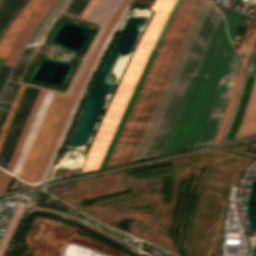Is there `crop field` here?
<instances>
[{"mask_svg":"<svg viewBox=\"0 0 256 256\" xmlns=\"http://www.w3.org/2000/svg\"><path fill=\"white\" fill-rule=\"evenodd\" d=\"M240 61L227 38L223 17L219 13L159 155L212 143Z\"/></svg>","mask_w":256,"mask_h":256,"instance_id":"1","label":"crop field"},{"mask_svg":"<svg viewBox=\"0 0 256 256\" xmlns=\"http://www.w3.org/2000/svg\"><path fill=\"white\" fill-rule=\"evenodd\" d=\"M175 1L176 0L155 1L152 7L155 12L153 13L135 49L133 54L134 57L148 58L153 43ZM134 57L131 58V61L121 79L120 85L106 111L81 172L100 167L115 129L118 126L123 111L131 97L135 84L146 62L145 59Z\"/></svg>","mask_w":256,"mask_h":256,"instance_id":"2","label":"crop field"},{"mask_svg":"<svg viewBox=\"0 0 256 256\" xmlns=\"http://www.w3.org/2000/svg\"><path fill=\"white\" fill-rule=\"evenodd\" d=\"M203 0H193L184 19L182 20L177 33L169 47V50L166 54L163 66L159 72V75L157 77L155 86L144 106V109L139 117L137 126L128 142V145L124 151L121 163L123 162H129L132 160L134 151L141 139V136L147 126V123L154 111V108L158 102V99L160 97V94L163 90V87L165 85V82L169 76L170 70L173 66L176 54L179 50V47L181 45V42L192 22V19L196 13V11L199 9L201 3Z\"/></svg>","mask_w":256,"mask_h":256,"instance_id":"3","label":"crop field"},{"mask_svg":"<svg viewBox=\"0 0 256 256\" xmlns=\"http://www.w3.org/2000/svg\"><path fill=\"white\" fill-rule=\"evenodd\" d=\"M211 6L212 5H210L208 2L204 0L200 9L197 11L193 19L192 25L188 31V34L179 50L178 56L176 58V61L174 63L170 76L168 78L167 84L162 92V95L157 104V107L138 145L137 151L132 161L140 160L145 157L147 149L155 135L157 127L163 117V114L167 108V105L171 99V96L176 88V85L178 83V78L181 74V71L184 66L190 47L199 31L200 25L202 24Z\"/></svg>","mask_w":256,"mask_h":256,"instance_id":"4","label":"crop field"},{"mask_svg":"<svg viewBox=\"0 0 256 256\" xmlns=\"http://www.w3.org/2000/svg\"><path fill=\"white\" fill-rule=\"evenodd\" d=\"M192 0H182L172 21L171 24L158 48V51L156 53L155 59L153 61V64L150 68V71L147 75V78L143 84V87L139 93V96L133 106V109L130 113V116L125 124V127L121 133V136L116 144V147L114 149V152L112 154V157L109 161V166L117 165L120 162V159L122 157L123 151L127 145V142L131 136V133L137 123L138 117L143 109V106L147 100V97L150 93V91L153 88V85L155 83L156 76L162 66L165 54L168 50V47L171 43V40L188 8Z\"/></svg>","mask_w":256,"mask_h":256,"instance_id":"5","label":"crop field"},{"mask_svg":"<svg viewBox=\"0 0 256 256\" xmlns=\"http://www.w3.org/2000/svg\"><path fill=\"white\" fill-rule=\"evenodd\" d=\"M219 11L212 6L209 13L207 14L200 31L191 47L190 53L188 55L187 61L185 63L182 74L179 78V83L173 94L172 100L166 110V113L158 127L154 140L147 152L146 157H153L158 155L159 150L168 134V131L173 123V120L177 114L183 95L187 89L189 80L191 78L197 57L200 53L203 42L218 15ZM145 157V158H146Z\"/></svg>","mask_w":256,"mask_h":256,"instance_id":"6","label":"crop field"},{"mask_svg":"<svg viewBox=\"0 0 256 256\" xmlns=\"http://www.w3.org/2000/svg\"><path fill=\"white\" fill-rule=\"evenodd\" d=\"M70 97L54 93L17 178L32 183Z\"/></svg>","mask_w":256,"mask_h":256,"instance_id":"7","label":"crop field"},{"mask_svg":"<svg viewBox=\"0 0 256 256\" xmlns=\"http://www.w3.org/2000/svg\"><path fill=\"white\" fill-rule=\"evenodd\" d=\"M39 90L38 88L27 86L17 106L0 150V167L4 169L8 166L16 141Z\"/></svg>","mask_w":256,"mask_h":256,"instance_id":"8","label":"crop field"},{"mask_svg":"<svg viewBox=\"0 0 256 256\" xmlns=\"http://www.w3.org/2000/svg\"><path fill=\"white\" fill-rule=\"evenodd\" d=\"M127 1L128 0H123L121 5L119 6L118 10L114 14L110 24L108 25V27L106 28V30L102 34V36H101V38H100V40H99L95 50L93 51V53H92V55H91L87 65H86V67H85V69H84V71H83V73H82V75H81V77H80V79H79V81H78V83H77V85H76L72 95H71V98H70V100H69V102H68V104H67V106H66V108H65V110H64V112L62 114V117H61L60 122L58 124V127L56 129V132H55V134L53 136V139L51 141V144H50V146H49V148L47 150V153H46V155H45V157L43 159V162H42V164H41V166H40V168H39V170H38V172H37V174H36L32 184L38 183V181H39V179H40V177H41V175H42V173H43V171H44V169H45V167H46V165L48 163V160H49V158H50V156L52 154V151H53V149H54V147L56 145V142L58 140V137L60 135L62 127H63V125H64V123H65V121H66V119L68 117V114H69V112H70V110L72 108V105H73V103H74V101L76 99L78 91H79V89H80V87L82 85V82H83V80H84L88 70L90 69V67H91V65H92V63H93V61H94V59H95V57H96L100 47L102 46V44H103V42H104L108 32L110 31L112 25L114 24L115 20L117 19L118 15L120 14L121 10L123 9V7L127 3Z\"/></svg>","mask_w":256,"mask_h":256,"instance_id":"9","label":"crop field"},{"mask_svg":"<svg viewBox=\"0 0 256 256\" xmlns=\"http://www.w3.org/2000/svg\"><path fill=\"white\" fill-rule=\"evenodd\" d=\"M132 2H133V0H129L128 4L124 8V10L121 13L120 17L118 18V20L113 25V27H112L111 31L109 32V34H108V36H107V38H106V40H105V42H104L100 52H99V54L97 55L93 65H92V67H91V69H90V71H89V73H88V75H87V77H86L82 87H81V90H80V92H79V94L77 96V99H76V101L74 103V106H73V108L71 110V113H70V115H69V117H68V119H67V121L65 123V126H64V128L62 130L60 138H59V140L57 142V145H56V147H55V149L53 151V154H52V156H51V158L49 160V163H48V165H47V167H46V169H45V171H44L40 181H45V180L48 179L50 169H51V167H52V165H53V163H54V161L56 159V156H57V153H58L59 148L61 146V143H62V141H63V139H64V137L66 135V132H67V130H68L70 124H71V121H72V119H73V117H74V115L76 113V110H77L78 105H79V103L81 101V98H82V96H83V94H84V92H85V90H86V88H87V86H88V84H89V82H90V80H91V78H92V76H93V74H94V72H95V70H96V68H97V66H98V64H99V62H100V60H101V58H102V56H103L107 46H108V44H109V42H110V40L112 39L113 35L117 31V29H118L122 19L124 18L126 12L128 11L130 5L132 4Z\"/></svg>","mask_w":256,"mask_h":256,"instance_id":"10","label":"crop field"},{"mask_svg":"<svg viewBox=\"0 0 256 256\" xmlns=\"http://www.w3.org/2000/svg\"><path fill=\"white\" fill-rule=\"evenodd\" d=\"M121 2H122V0H99L96 3V5L94 6L90 15L87 17V20L100 23V24H102V26H101L96 38L92 42L84 60L82 61L66 95L70 96L89 56L91 55L92 51L94 50V48L99 40V37L103 33L106 25L108 24L109 20L111 19V17L115 13L116 9L118 8V6L120 5Z\"/></svg>","mask_w":256,"mask_h":256,"instance_id":"11","label":"crop field"},{"mask_svg":"<svg viewBox=\"0 0 256 256\" xmlns=\"http://www.w3.org/2000/svg\"><path fill=\"white\" fill-rule=\"evenodd\" d=\"M180 1H181V0H177V1H176V3H175V5H174L173 9L171 10V12H170V14H169V16H168V18H167V20H166L164 26L162 27V29H161V31H160V33H159V35H158V37H157V39H156V41H155V45H154L153 48L157 49V47H158V45H159V43H160V41H161V39H162V37H163V35H164L166 29H167V27H168V25H169V23H170V21H171V18H172V16H173V14L175 13V11H176V9H177V7H178ZM155 49L152 50V52H151V54H150V56H149V58H148V60H147V63H146V65H145V68H144V70H143V72H142V74H141V76H140V79H139V81H138V83H137V85H136V88H135V90H134V92H133V95H132V97H131V99H130V102H129L128 106H127V109H126V111H125V113H124V115H123V118H122V120H121V122H120V124H119V126H118V128H117V130H116V133H115V135H114V137H113V140H112V142H111V144H110V147H109L108 152H107V154H106V156H105V158H104V160H103V163H102L101 167H105V166L107 165L108 161H109V158H110V156H111V154H112V151H113V149H114V147H115V144H116V142H117V140H118V138H119V135H120V133H121V131H122V129H123V126H124V124H125V122H126V120H127V117H128V115H129V113H130V110H131V108H132V106H133V104H134V102H135V99H136V97H137V95H138V92H139V90H140V88H141V86H142V84H143V81H144V79H145V76H146V74H147V71H148V69H149V67H150V65H151V63H152L153 57H154V55H155V53H156V50H155Z\"/></svg>","mask_w":256,"mask_h":256,"instance_id":"12","label":"crop field"},{"mask_svg":"<svg viewBox=\"0 0 256 256\" xmlns=\"http://www.w3.org/2000/svg\"><path fill=\"white\" fill-rule=\"evenodd\" d=\"M44 1L45 0H30L0 41V57L6 58L9 50L25 27L27 21Z\"/></svg>","mask_w":256,"mask_h":256,"instance_id":"13","label":"crop field"},{"mask_svg":"<svg viewBox=\"0 0 256 256\" xmlns=\"http://www.w3.org/2000/svg\"><path fill=\"white\" fill-rule=\"evenodd\" d=\"M55 0H46L36 11L31 21L28 23V25L23 30L21 36L19 37L16 44L13 46L10 54L6 58L1 70L2 71H10V68L16 59L20 49L25 44L35 27L37 26L40 19L44 16V14L48 11V9L51 7V5L54 3Z\"/></svg>","mask_w":256,"mask_h":256,"instance_id":"14","label":"crop field"},{"mask_svg":"<svg viewBox=\"0 0 256 256\" xmlns=\"http://www.w3.org/2000/svg\"><path fill=\"white\" fill-rule=\"evenodd\" d=\"M52 95H53L52 92L46 91L42 100H41V102H40V104H39V107L36 111L35 117H34L32 123H31V125L28 129L27 134H26L25 141H24V144L22 146L19 157H18V159L16 161V164H15V166H14L12 172H11V174H13L14 176H17V174H18V172H19V170H20V168H21V166H22V164H23V162H24V160H25V158H26V156L29 152V149H30V146L32 144L33 138L35 136L36 130L39 126V123L42 119V116L45 112V109H46Z\"/></svg>","mask_w":256,"mask_h":256,"instance_id":"15","label":"crop field"},{"mask_svg":"<svg viewBox=\"0 0 256 256\" xmlns=\"http://www.w3.org/2000/svg\"><path fill=\"white\" fill-rule=\"evenodd\" d=\"M256 133V80L245 110L244 118L240 125L239 132L235 138Z\"/></svg>","mask_w":256,"mask_h":256,"instance_id":"16","label":"crop field"},{"mask_svg":"<svg viewBox=\"0 0 256 256\" xmlns=\"http://www.w3.org/2000/svg\"><path fill=\"white\" fill-rule=\"evenodd\" d=\"M254 79H255V77L249 72L248 77H247V81H246V85H245V88H244V92H243V95H242V99L240 101V104H239V107L237 109L234 121H233V123L230 127V131H229L228 136H227L225 141L233 139L234 136L236 135L237 131H238V128H239V125H240V122H241V119H242V115L244 113L245 107L247 105L248 97H249L251 88H252L253 83H254Z\"/></svg>","mask_w":256,"mask_h":256,"instance_id":"17","label":"crop field"},{"mask_svg":"<svg viewBox=\"0 0 256 256\" xmlns=\"http://www.w3.org/2000/svg\"><path fill=\"white\" fill-rule=\"evenodd\" d=\"M43 93H44V90L41 89L40 92H39V94H38V96H37V98H36V100H35V103H34L32 109H31V111H30V113H29V116H28V118H27V121H26V123H25V125H24V128H23V130H22V132H21V135H20V137H19V139H18V141H17V144H16V147H15V150H14V153H13V156H12V159H11V161H10V164H9L8 168H7V171H8V172H11V170H12V168H13V165H14L16 159H17V156H18V154H19V152H20V149H21V146H22V143H23L25 134H26L27 129H28V127H29V125H30V123H31V121H32V118H33V116H34V114H35V111H36L37 106H38V104H39V102H40V100H41V97H42ZM38 107H39V106H38Z\"/></svg>","mask_w":256,"mask_h":256,"instance_id":"18","label":"crop field"},{"mask_svg":"<svg viewBox=\"0 0 256 256\" xmlns=\"http://www.w3.org/2000/svg\"><path fill=\"white\" fill-rule=\"evenodd\" d=\"M243 69H244V65L241 61L240 68H239V71H238V74H237V77H236V80H235V84H234L230 99L228 101V105L226 107V110H225V113H224V116H223V120L220 124V127L217 131V134L215 136V139H214L213 143H218L219 138H220V136H221V134H222V132L225 128L226 121H227V119L230 115V112L232 110V107H233L234 99H235V96H236V93H237V90H238V86H239L241 75L243 73Z\"/></svg>","mask_w":256,"mask_h":256,"instance_id":"19","label":"crop field"},{"mask_svg":"<svg viewBox=\"0 0 256 256\" xmlns=\"http://www.w3.org/2000/svg\"><path fill=\"white\" fill-rule=\"evenodd\" d=\"M224 17H225V20H226V27H227V30H228V35H229V38L232 40V38L234 37L244 15L242 14H239L229 8H226V7H222L221 11H220Z\"/></svg>","mask_w":256,"mask_h":256,"instance_id":"20","label":"crop field"},{"mask_svg":"<svg viewBox=\"0 0 256 256\" xmlns=\"http://www.w3.org/2000/svg\"><path fill=\"white\" fill-rule=\"evenodd\" d=\"M24 0H5L0 6V31Z\"/></svg>","mask_w":256,"mask_h":256,"instance_id":"21","label":"crop field"},{"mask_svg":"<svg viewBox=\"0 0 256 256\" xmlns=\"http://www.w3.org/2000/svg\"><path fill=\"white\" fill-rule=\"evenodd\" d=\"M24 205L25 204H19L18 207L16 206L17 209L15 208L16 211H15V213H14V215H13V217H12V219H11L7 229H6V232H5L3 238H2V240L0 242V256L2 255V253H3L4 249H5V246H6L8 240L10 238V235H11V233H12L14 227H15V224H16L19 216H20V213H21Z\"/></svg>","mask_w":256,"mask_h":256,"instance_id":"22","label":"crop field"},{"mask_svg":"<svg viewBox=\"0 0 256 256\" xmlns=\"http://www.w3.org/2000/svg\"><path fill=\"white\" fill-rule=\"evenodd\" d=\"M247 70L246 68L244 69V73H243V76L241 78V82H240V86H239V90H238V93H237V96H236V100H235V104H234V107H233V110L231 112V115L227 121V124H226V128L220 138V141H223L228 133V130H229V127L233 121V118H234V115H235V112H236V109H237V106H238V103L240 101V98H241V95H242V91H243V87H244V84H245V81H246V76H247ZM219 141V142H220Z\"/></svg>","mask_w":256,"mask_h":256,"instance_id":"23","label":"crop field"},{"mask_svg":"<svg viewBox=\"0 0 256 256\" xmlns=\"http://www.w3.org/2000/svg\"><path fill=\"white\" fill-rule=\"evenodd\" d=\"M24 88H25V86L20 85V87H19V89L17 91L16 97L14 99V102H13L11 108H10V111L8 113V116L6 118V121L4 123L3 129H2L1 134H0V147H1V144L3 142L4 136L6 134L7 128L9 126V123L11 121V118H12V116L14 114L15 109H16V106H17V104L19 102V99H20L22 93H23Z\"/></svg>","mask_w":256,"mask_h":256,"instance_id":"24","label":"crop field"},{"mask_svg":"<svg viewBox=\"0 0 256 256\" xmlns=\"http://www.w3.org/2000/svg\"><path fill=\"white\" fill-rule=\"evenodd\" d=\"M255 25H256V20L251 19V21H250V23H249V25H248V27H247V29L245 31V34H244V36H243V38H242V40H241V42H240V44H239V46L237 48V51L239 52L241 57H243V53H244L247 41H248V39H249V37H250V35H251Z\"/></svg>","mask_w":256,"mask_h":256,"instance_id":"25","label":"crop field"},{"mask_svg":"<svg viewBox=\"0 0 256 256\" xmlns=\"http://www.w3.org/2000/svg\"><path fill=\"white\" fill-rule=\"evenodd\" d=\"M17 89H18V88H15V87L12 88V90H11V92H10V94H9V97H8V99H7V101H6V104H5L3 113H2V115H1V117H0V131H1V129H2L3 123H4V121H5V118H6V116H7V113H8V111H9V108H10L12 102H13V99H14V97H15V94H16Z\"/></svg>","mask_w":256,"mask_h":256,"instance_id":"26","label":"crop field"},{"mask_svg":"<svg viewBox=\"0 0 256 256\" xmlns=\"http://www.w3.org/2000/svg\"><path fill=\"white\" fill-rule=\"evenodd\" d=\"M85 1L86 0H72L64 10V13L76 16Z\"/></svg>","mask_w":256,"mask_h":256,"instance_id":"27","label":"crop field"},{"mask_svg":"<svg viewBox=\"0 0 256 256\" xmlns=\"http://www.w3.org/2000/svg\"><path fill=\"white\" fill-rule=\"evenodd\" d=\"M13 178V177H12ZM11 179V176L0 170V193H3Z\"/></svg>","mask_w":256,"mask_h":256,"instance_id":"28","label":"crop field"},{"mask_svg":"<svg viewBox=\"0 0 256 256\" xmlns=\"http://www.w3.org/2000/svg\"><path fill=\"white\" fill-rule=\"evenodd\" d=\"M29 0H25L23 2V4L18 8V10L15 12V14L12 16V18L9 20V22L6 24V26L4 27V29L1 31L0 33V40L3 37V35L6 33V31L8 30V28L10 27L11 23L13 22V20L16 18V16L21 12V10L25 7V5L28 3Z\"/></svg>","mask_w":256,"mask_h":256,"instance_id":"29","label":"crop field"},{"mask_svg":"<svg viewBox=\"0 0 256 256\" xmlns=\"http://www.w3.org/2000/svg\"><path fill=\"white\" fill-rule=\"evenodd\" d=\"M255 37H256V27H255V29H254V31H253V33H252V35H251V37L248 41V44H247V47H246V50H245V54H244V57H243V60H244L245 63H246L248 55H249V53L252 49V45H253Z\"/></svg>","mask_w":256,"mask_h":256,"instance_id":"30","label":"crop field"},{"mask_svg":"<svg viewBox=\"0 0 256 256\" xmlns=\"http://www.w3.org/2000/svg\"><path fill=\"white\" fill-rule=\"evenodd\" d=\"M9 73L0 71V92Z\"/></svg>","mask_w":256,"mask_h":256,"instance_id":"31","label":"crop field"},{"mask_svg":"<svg viewBox=\"0 0 256 256\" xmlns=\"http://www.w3.org/2000/svg\"><path fill=\"white\" fill-rule=\"evenodd\" d=\"M253 74L254 76L256 75V52H255V55L251 61V66H250V69H249Z\"/></svg>","mask_w":256,"mask_h":256,"instance_id":"32","label":"crop field"},{"mask_svg":"<svg viewBox=\"0 0 256 256\" xmlns=\"http://www.w3.org/2000/svg\"><path fill=\"white\" fill-rule=\"evenodd\" d=\"M255 49H256V39H255V42H254L253 49H252V51H251V53H250V55H249L248 61H247V63H246L248 69H249L250 61H251V59H252V57H253V55H254Z\"/></svg>","mask_w":256,"mask_h":256,"instance_id":"33","label":"crop field"},{"mask_svg":"<svg viewBox=\"0 0 256 256\" xmlns=\"http://www.w3.org/2000/svg\"><path fill=\"white\" fill-rule=\"evenodd\" d=\"M2 64H3V62H2V61H0V68H1Z\"/></svg>","mask_w":256,"mask_h":256,"instance_id":"34","label":"crop field"},{"mask_svg":"<svg viewBox=\"0 0 256 256\" xmlns=\"http://www.w3.org/2000/svg\"><path fill=\"white\" fill-rule=\"evenodd\" d=\"M3 1H4V0H0V5L2 4Z\"/></svg>","mask_w":256,"mask_h":256,"instance_id":"35","label":"crop field"}]
</instances>
